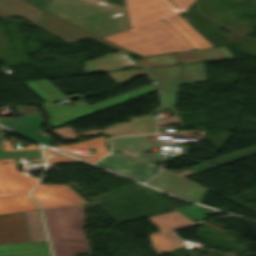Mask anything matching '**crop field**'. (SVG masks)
<instances>
[{"label":"crop field","mask_w":256,"mask_h":256,"mask_svg":"<svg viewBox=\"0 0 256 256\" xmlns=\"http://www.w3.org/2000/svg\"><path fill=\"white\" fill-rule=\"evenodd\" d=\"M135 62L141 67L180 63L174 53L144 57L141 60H137Z\"/></svg>","instance_id":"4177f3b9"},{"label":"crop field","mask_w":256,"mask_h":256,"mask_svg":"<svg viewBox=\"0 0 256 256\" xmlns=\"http://www.w3.org/2000/svg\"><path fill=\"white\" fill-rule=\"evenodd\" d=\"M25 156H42L39 150L28 151H12V152H0V158L8 157H25Z\"/></svg>","instance_id":"d3111659"},{"label":"crop field","mask_w":256,"mask_h":256,"mask_svg":"<svg viewBox=\"0 0 256 256\" xmlns=\"http://www.w3.org/2000/svg\"><path fill=\"white\" fill-rule=\"evenodd\" d=\"M96 165L111 169L119 174L144 182L155 175L157 167L139 165L132 157L124 153L113 152Z\"/></svg>","instance_id":"3316defc"},{"label":"crop field","mask_w":256,"mask_h":256,"mask_svg":"<svg viewBox=\"0 0 256 256\" xmlns=\"http://www.w3.org/2000/svg\"><path fill=\"white\" fill-rule=\"evenodd\" d=\"M61 151H63V150H61ZM63 152H66V153H68L70 155L76 156L78 158L84 159V160L89 161V162L93 161V160L89 159L88 157H86L85 155H81V154H77V153H72V152H68V151H63Z\"/></svg>","instance_id":"120bbe31"},{"label":"crop field","mask_w":256,"mask_h":256,"mask_svg":"<svg viewBox=\"0 0 256 256\" xmlns=\"http://www.w3.org/2000/svg\"><path fill=\"white\" fill-rule=\"evenodd\" d=\"M101 155H106V154H101ZM90 157L91 159H93L94 161L97 160L96 156L95 155H91V156H88Z\"/></svg>","instance_id":"d32e631a"},{"label":"crop field","mask_w":256,"mask_h":256,"mask_svg":"<svg viewBox=\"0 0 256 256\" xmlns=\"http://www.w3.org/2000/svg\"><path fill=\"white\" fill-rule=\"evenodd\" d=\"M96 156H97L98 159L102 157V156H100V155H96Z\"/></svg>","instance_id":"5866460e"},{"label":"crop field","mask_w":256,"mask_h":256,"mask_svg":"<svg viewBox=\"0 0 256 256\" xmlns=\"http://www.w3.org/2000/svg\"><path fill=\"white\" fill-rule=\"evenodd\" d=\"M179 10L170 13L163 18L171 27L181 34L188 43L195 49L212 47L204 38H202L183 18L178 14L192 5L193 0H172Z\"/></svg>","instance_id":"22f410ed"},{"label":"crop field","mask_w":256,"mask_h":256,"mask_svg":"<svg viewBox=\"0 0 256 256\" xmlns=\"http://www.w3.org/2000/svg\"><path fill=\"white\" fill-rule=\"evenodd\" d=\"M28 193L0 197V214L38 209Z\"/></svg>","instance_id":"92a150f3"},{"label":"crop field","mask_w":256,"mask_h":256,"mask_svg":"<svg viewBox=\"0 0 256 256\" xmlns=\"http://www.w3.org/2000/svg\"><path fill=\"white\" fill-rule=\"evenodd\" d=\"M43 211L51 243L88 244L83 232V204Z\"/></svg>","instance_id":"34b2d1b8"},{"label":"crop field","mask_w":256,"mask_h":256,"mask_svg":"<svg viewBox=\"0 0 256 256\" xmlns=\"http://www.w3.org/2000/svg\"><path fill=\"white\" fill-rule=\"evenodd\" d=\"M28 241L23 212L0 216V243Z\"/></svg>","instance_id":"5142ce71"},{"label":"crop field","mask_w":256,"mask_h":256,"mask_svg":"<svg viewBox=\"0 0 256 256\" xmlns=\"http://www.w3.org/2000/svg\"><path fill=\"white\" fill-rule=\"evenodd\" d=\"M54 256H76L77 253L89 254L92 256L89 245L75 244H51Z\"/></svg>","instance_id":"a9b5d70f"},{"label":"crop field","mask_w":256,"mask_h":256,"mask_svg":"<svg viewBox=\"0 0 256 256\" xmlns=\"http://www.w3.org/2000/svg\"><path fill=\"white\" fill-rule=\"evenodd\" d=\"M189 173H192V171L188 170L178 174H173L163 169L161 174L153 180L156 186L163 190L174 193L188 200L202 203L208 189L182 177Z\"/></svg>","instance_id":"e52e79f7"},{"label":"crop field","mask_w":256,"mask_h":256,"mask_svg":"<svg viewBox=\"0 0 256 256\" xmlns=\"http://www.w3.org/2000/svg\"><path fill=\"white\" fill-rule=\"evenodd\" d=\"M43 11L25 0H0V16H20L35 25Z\"/></svg>","instance_id":"d9b57169"},{"label":"crop field","mask_w":256,"mask_h":256,"mask_svg":"<svg viewBox=\"0 0 256 256\" xmlns=\"http://www.w3.org/2000/svg\"><path fill=\"white\" fill-rule=\"evenodd\" d=\"M12 158L0 160V195L29 191L37 181L16 172Z\"/></svg>","instance_id":"d1516ede"},{"label":"crop field","mask_w":256,"mask_h":256,"mask_svg":"<svg viewBox=\"0 0 256 256\" xmlns=\"http://www.w3.org/2000/svg\"><path fill=\"white\" fill-rule=\"evenodd\" d=\"M176 210L179 211L181 214L187 216L188 218H190L193 221L206 218L205 214L217 212V211L203 208V207L196 206V205L177 208Z\"/></svg>","instance_id":"eef30255"},{"label":"crop field","mask_w":256,"mask_h":256,"mask_svg":"<svg viewBox=\"0 0 256 256\" xmlns=\"http://www.w3.org/2000/svg\"><path fill=\"white\" fill-rule=\"evenodd\" d=\"M131 28L177 10L169 0H126Z\"/></svg>","instance_id":"5a996713"},{"label":"crop field","mask_w":256,"mask_h":256,"mask_svg":"<svg viewBox=\"0 0 256 256\" xmlns=\"http://www.w3.org/2000/svg\"><path fill=\"white\" fill-rule=\"evenodd\" d=\"M46 11L100 37L128 29L124 8L106 0H52Z\"/></svg>","instance_id":"8a807250"},{"label":"crop field","mask_w":256,"mask_h":256,"mask_svg":"<svg viewBox=\"0 0 256 256\" xmlns=\"http://www.w3.org/2000/svg\"><path fill=\"white\" fill-rule=\"evenodd\" d=\"M0 256H49L46 242L1 245Z\"/></svg>","instance_id":"bc2a9ffb"},{"label":"crop field","mask_w":256,"mask_h":256,"mask_svg":"<svg viewBox=\"0 0 256 256\" xmlns=\"http://www.w3.org/2000/svg\"><path fill=\"white\" fill-rule=\"evenodd\" d=\"M44 149H45L46 155L53 154V156H54V159H49L48 157H46L47 163L79 162L77 160H74V159L64 156L62 154L56 153L54 151L48 150L46 148H44Z\"/></svg>","instance_id":"750c4746"},{"label":"crop field","mask_w":256,"mask_h":256,"mask_svg":"<svg viewBox=\"0 0 256 256\" xmlns=\"http://www.w3.org/2000/svg\"><path fill=\"white\" fill-rule=\"evenodd\" d=\"M85 64L86 66L84 69L86 73L117 70L136 66L131 60L121 53L106 54L103 58L85 61Z\"/></svg>","instance_id":"733c2abd"},{"label":"crop field","mask_w":256,"mask_h":256,"mask_svg":"<svg viewBox=\"0 0 256 256\" xmlns=\"http://www.w3.org/2000/svg\"><path fill=\"white\" fill-rule=\"evenodd\" d=\"M24 215L29 241L46 239L39 211H25Z\"/></svg>","instance_id":"00972430"},{"label":"crop field","mask_w":256,"mask_h":256,"mask_svg":"<svg viewBox=\"0 0 256 256\" xmlns=\"http://www.w3.org/2000/svg\"><path fill=\"white\" fill-rule=\"evenodd\" d=\"M25 83L47 101L39 104L54 103L62 99H67L66 96L54 88L47 79L26 81Z\"/></svg>","instance_id":"dafd665d"},{"label":"crop field","mask_w":256,"mask_h":256,"mask_svg":"<svg viewBox=\"0 0 256 256\" xmlns=\"http://www.w3.org/2000/svg\"><path fill=\"white\" fill-rule=\"evenodd\" d=\"M181 63L230 58L232 54L226 47L175 53Z\"/></svg>","instance_id":"214f88e0"},{"label":"crop field","mask_w":256,"mask_h":256,"mask_svg":"<svg viewBox=\"0 0 256 256\" xmlns=\"http://www.w3.org/2000/svg\"><path fill=\"white\" fill-rule=\"evenodd\" d=\"M103 38L140 56L194 50L161 18Z\"/></svg>","instance_id":"ac0d7876"},{"label":"crop field","mask_w":256,"mask_h":256,"mask_svg":"<svg viewBox=\"0 0 256 256\" xmlns=\"http://www.w3.org/2000/svg\"><path fill=\"white\" fill-rule=\"evenodd\" d=\"M56 147L70 149V150H73L74 148H81V147H92V148H95L96 153L109 152L106 150L105 137H97L95 139L86 140L75 145H61Z\"/></svg>","instance_id":"730fd06b"},{"label":"crop field","mask_w":256,"mask_h":256,"mask_svg":"<svg viewBox=\"0 0 256 256\" xmlns=\"http://www.w3.org/2000/svg\"><path fill=\"white\" fill-rule=\"evenodd\" d=\"M158 125H170V124H177L178 121L175 117L171 118H164V119H158L156 120Z\"/></svg>","instance_id":"bd1437ed"},{"label":"crop field","mask_w":256,"mask_h":256,"mask_svg":"<svg viewBox=\"0 0 256 256\" xmlns=\"http://www.w3.org/2000/svg\"><path fill=\"white\" fill-rule=\"evenodd\" d=\"M33 198L42 208L79 203L86 204L68 185L39 184L33 192Z\"/></svg>","instance_id":"28ad6ade"},{"label":"crop field","mask_w":256,"mask_h":256,"mask_svg":"<svg viewBox=\"0 0 256 256\" xmlns=\"http://www.w3.org/2000/svg\"><path fill=\"white\" fill-rule=\"evenodd\" d=\"M36 4L37 6L41 7L43 10L48 6L51 0H29Z\"/></svg>","instance_id":"1d83c4d3"},{"label":"crop field","mask_w":256,"mask_h":256,"mask_svg":"<svg viewBox=\"0 0 256 256\" xmlns=\"http://www.w3.org/2000/svg\"><path fill=\"white\" fill-rule=\"evenodd\" d=\"M160 92L162 107L173 110L178 84L205 82L203 63L145 69Z\"/></svg>","instance_id":"412701ff"},{"label":"crop field","mask_w":256,"mask_h":256,"mask_svg":"<svg viewBox=\"0 0 256 256\" xmlns=\"http://www.w3.org/2000/svg\"><path fill=\"white\" fill-rule=\"evenodd\" d=\"M111 143L114 149L129 153L146 152L149 146H159L156 135L114 138Z\"/></svg>","instance_id":"4a817a6b"},{"label":"crop field","mask_w":256,"mask_h":256,"mask_svg":"<svg viewBox=\"0 0 256 256\" xmlns=\"http://www.w3.org/2000/svg\"><path fill=\"white\" fill-rule=\"evenodd\" d=\"M36 25L50 31L51 33L57 35V36H60L66 40H75V39H81V38H85V37H88V36H91L119 51H122L126 54H131L130 52L116 46V45H113L109 42H106L102 39H99L73 25H70L46 12H43V14L41 15V17L39 18L38 22L36 23Z\"/></svg>","instance_id":"cbeb9de0"},{"label":"crop field","mask_w":256,"mask_h":256,"mask_svg":"<svg viewBox=\"0 0 256 256\" xmlns=\"http://www.w3.org/2000/svg\"><path fill=\"white\" fill-rule=\"evenodd\" d=\"M155 91L153 85L146 86L144 88L131 91L103 102H100L91 106H72L64 107L61 104L52 105V106H43V108L52 115L51 126L57 127L62 124L68 123L70 121L79 119L81 117L90 115L95 112H99L108 107L127 102L133 98H136L140 95Z\"/></svg>","instance_id":"f4fd0767"},{"label":"crop field","mask_w":256,"mask_h":256,"mask_svg":"<svg viewBox=\"0 0 256 256\" xmlns=\"http://www.w3.org/2000/svg\"><path fill=\"white\" fill-rule=\"evenodd\" d=\"M149 219L160 229V232L150 235L153 249L158 254L185 246L180 244L179 239L174 236L170 230L190 225L193 221L177 211L164 215L152 216L149 217Z\"/></svg>","instance_id":"dd49c442"},{"label":"crop field","mask_w":256,"mask_h":256,"mask_svg":"<svg viewBox=\"0 0 256 256\" xmlns=\"http://www.w3.org/2000/svg\"><path fill=\"white\" fill-rule=\"evenodd\" d=\"M110 76L117 85L130 81L133 77L143 75L142 70H131V71H121V72H110L105 73Z\"/></svg>","instance_id":"ae1a2a85"},{"label":"crop field","mask_w":256,"mask_h":256,"mask_svg":"<svg viewBox=\"0 0 256 256\" xmlns=\"http://www.w3.org/2000/svg\"><path fill=\"white\" fill-rule=\"evenodd\" d=\"M25 117L0 118V123L39 143L50 145L48 135L41 132L43 119L37 108L20 107Z\"/></svg>","instance_id":"d8731c3e"}]
</instances>
